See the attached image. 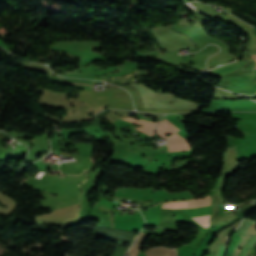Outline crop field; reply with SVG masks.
<instances>
[{
  "label": "crop field",
  "instance_id": "crop-field-8",
  "mask_svg": "<svg viewBox=\"0 0 256 256\" xmlns=\"http://www.w3.org/2000/svg\"><path fill=\"white\" fill-rule=\"evenodd\" d=\"M224 213H226V211L224 210Z\"/></svg>",
  "mask_w": 256,
  "mask_h": 256
},
{
  "label": "crop field",
  "instance_id": "crop-field-7",
  "mask_svg": "<svg viewBox=\"0 0 256 256\" xmlns=\"http://www.w3.org/2000/svg\"><path fill=\"white\" fill-rule=\"evenodd\" d=\"M253 59L256 61V55H251ZM256 69V68H255Z\"/></svg>",
  "mask_w": 256,
  "mask_h": 256
},
{
  "label": "crop field",
  "instance_id": "crop-field-1",
  "mask_svg": "<svg viewBox=\"0 0 256 256\" xmlns=\"http://www.w3.org/2000/svg\"><path fill=\"white\" fill-rule=\"evenodd\" d=\"M81 100L90 102L93 106L109 104V108H122L133 110L130 95L123 89L115 88L110 91L94 93L92 91H79Z\"/></svg>",
  "mask_w": 256,
  "mask_h": 256
},
{
  "label": "crop field",
  "instance_id": "crop-field-2",
  "mask_svg": "<svg viewBox=\"0 0 256 256\" xmlns=\"http://www.w3.org/2000/svg\"><path fill=\"white\" fill-rule=\"evenodd\" d=\"M178 130L180 129H178L176 126H174L166 119L160 122L159 125L157 126V131L159 135H163L165 137L166 134L173 133V135L165 137L169 139L167 143L169 152L189 150V146L186 143V140L175 133Z\"/></svg>",
  "mask_w": 256,
  "mask_h": 256
},
{
  "label": "crop field",
  "instance_id": "crop-field-5",
  "mask_svg": "<svg viewBox=\"0 0 256 256\" xmlns=\"http://www.w3.org/2000/svg\"><path fill=\"white\" fill-rule=\"evenodd\" d=\"M125 120H128V121H131V122H134V123H137V124H140V125H144L142 127H139V128H135L149 136L155 134L154 133V127L156 126L157 122H149V121H141V120H136V119H133L131 117H128V118H123Z\"/></svg>",
  "mask_w": 256,
  "mask_h": 256
},
{
  "label": "crop field",
  "instance_id": "crop-field-6",
  "mask_svg": "<svg viewBox=\"0 0 256 256\" xmlns=\"http://www.w3.org/2000/svg\"><path fill=\"white\" fill-rule=\"evenodd\" d=\"M222 250H223V247H222V245H220L217 256H222Z\"/></svg>",
  "mask_w": 256,
  "mask_h": 256
},
{
  "label": "crop field",
  "instance_id": "crop-field-4",
  "mask_svg": "<svg viewBox=\"0 0 256 256\" xmlns=\"http://www.w3.org/2000/svg\"><path fill=\"white\" fill-rule=\"evenodd\" d=\"M126 90H128L132 98L134 100L136 109L142 110V111H148V112H162V113H179V112H193L198 111L197 109H176V110H149V109H143L141 95L138 92L137 89H135L132 85L124 87Z\"/></svg>",
  "mask_w": 256,
  "mask_h": 256
},
{
  "label": "crop field",
  "instance_id": "crop-field-3",
  "mask_svg": "<svg viewBox=\"0 0 256 256\" xmlns=\"http://www.w3.org/2000/svg\"><path fill=\"white\" fill-rule=\"evenodd\" d=\"M206 201H210V196L207 195V196L203 197L202 199L187 201L186 204L206 202ZM185 202L186 201H174V202L165 203L162 208L179 209L183 212ZM184 213L190 215L191 217H199V216L210 214V208L184 210Z\"/></svg>",
  "mask_w": 256,
  "mask_h": 256
}]
</instances>
